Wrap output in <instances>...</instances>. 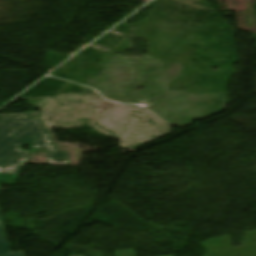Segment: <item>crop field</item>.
<instances>
[{"mask_svg":"<svg viewBox=\"0 0 256 256\" xmlns=\"http://www.w3.org/2000/svg\"><path fill=\"white\" fill-rule=\"evenodd\" d=\"M27 145L46 149L50 165H69L67 152L56 150L40 119H28L25 113L0 115V173L19 174L32 153L19 149Z\"/></svg>","mask_w":256,"mask_h":256,"instance_id":"8a807250","label":"crop field"},{"mask_svg":"<svg viewBox=\"0 0 256 256\" xmlns=\"http://www.w3.org/2000/svg\"><path fill=\"white\" fill-rule=\"evenodd\" d=\"M9 253H11V252H10L7 240H6L4 230H3L1 222H0V256L4 255V254L6 255Z\"/></svg>","mask_w":256,"mask_h":256,"instance_id":"ac0d7876","label":"crop field"},{"mask_svg":"<svg viewBox=\"0 0 256 256\" xmlns=\"http://www.w3.org/2000/svg\"><path fill=\"white\" fill-rule=\"evenodd\" d=\"M115 254L116 256H136V251L135 249H133V250L115 252ZM170 256H174V255H170Z\"/></svg>","mask_w":256,"mask_h":256,"instance_id":"34b2d1b8","label":"crop field"},{"mask_svg":"<svg viewBox=\"0 0 256 256\" xmlns=\"http://www.w3.org/2000/svg\"><path fill=\"white\" fill-rule=\"evenodd\" d=\"M6 256H24L22 252L20 253H14V254H9V255H6Z\"/></svg>","mask_w":256,"mask_h":256,"instance_id":"412701ff","label":"crop field"}]
</instances>
